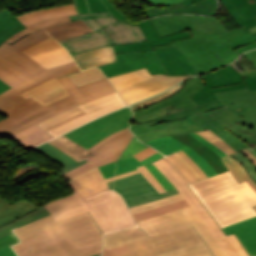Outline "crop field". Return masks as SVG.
<instances>
[{"label":"crop field","instance_id":"1","mask_svg":"<svg viewBox=\"0 0 256 256\" xmlns=\"http://www.w3.org/2000/svg\"><path fill=\"white\" fill-rule=\"evenodd\" d=\"M221 1L241 28L228 33L218 19L200 15L158 17L150 20L161 37L189 29L193 33V38L176 40L172 42L173 45L153 48L177 46L185 53L198 74L220 68L234 61L239 54L223 42L249 33L248 29L256 26V16L247 19L237 12L231 0Z\"/></svg>","mask_w":256,"mask_h":256},{"label":"crop field","instance_id":"2","mask_svg":"<svg viewBox=\"0 0 256 256\" xmlns=\"http://www.w3.org/2000/svg\"><path fill=\"white\" fill-rule=\"evenodd\" d=\"M19 256H87L102 251L103 235L88 212L56 221L52 215L13 230Z\"/></svg>","mask_w":256,"mask_h":256},{"label":"crop field","instance_id":"3","mask_svg":"<svg viewBox=\"0 0 256 256\" xmlns=\"http://www.w3.org/2000/svg\"><path fill=\"white\" fill-rule=\"evenodd\" d=\"M178 189L190 206L150 219L138 221L149 236L194 225L214 256H249L235 235L226 236L190 187L163 160L153 163Z\"/></svg>","mask_w":256,"mask_h":256},{"label":"crop field","instance_id":"4","mask_svg":"<svg viewBox=\"0 0 256 256\" xmlns=\"http://www.w3.org/2000/svg\"><path fill=\"white\" fill-rule=\"evenodd\" d=\"M0 79L13 87L0 95V112L9 116L0 121V136L6 137L10 135L27 150L52 139L46 131L37 125L38 123L77 105L76 101H74L55 111L49 109L72 98L71 95L47 106L31 98L26 100L17 91L35 82L7 65L1 59Z\"/></svg>","mask_w":256,"mask_h":256},{"label":"crop field","instance_id":"5","mask_svg":"<svg viewBox=\"0 0 256 256\" xmlns=\"http://www.w3.org/2000/svg\"><path fill=\"white\" fill-rule=\"evenodd\" d=\"M226 105L191 116L204 129H211L236 151L256 147V91L248 89L215 93Z\"/></svg>","mask_w":256,"mask_h":256},{"label":"crop field","instance_id":"6","mask_svg":"<svg viewBox=\"0 0 256 256\" xmlns=\"http://www.w3.org/2000/svg\"><path fill=\"white\" fill-rule=\"evenodd\" d=\"M190 187L222 228L256 215L251 207L256 204V193L246 182L238 184L229 171Z\"/></svg>","mask_w":256,"mask_h":256},{"label":"crop field","instance_id":"7","mask_svg":"<svg viewBox=\"0 0 256 256\" xmlns=\"http://www.w3.org/2000/svg\"><path fill=\"white\" fill-rule=\"evenodd\" d=\"M75 192L44 205L56 220L83 211H90L104 233L136 226L122 197L107 190L86 198L70 181Z\"/></svg>","mask_w":256,"mask_h":256},{"label":"crop field","instance_id":"8","mask_svg":"<svg viewBox=\"0 0 256 256\" xmlns=\"http://www.w3.org/2000/svg\"><path fill=\"white\" fill-rule=\"evenodd\" d=\"M72 20L83 19L95 32L86 38L64 43L71 54L105 47L146 41L137 24L130 21L117 22L110 13L71 16Z\"/></svg>","mask_w":256,"mask_h":256},{"label":"crop field","instance_id":"9","mask_svg":"<svg viewBox=\"0 0 256 256\" xmlns=\"http://www.w3.org/2000/svg\"><path fill=\"white\" fill-rule=\"evenodd\" d=\"M125 256H212L193 226L127 243Z\"/></svg>","mask_w":256,"mask_h":256},{"label":"crop field","instance_id":"10","mask_svg":"<svg viewBox=\"0 0 256 256\" xmlns=\"http://www.w3.org/2000/svg\"><path fill=\"white\" fill-rule=\"evenodd\" d=\"M48 37L50 36L42 29L26 36L12 46L6 42L0 46V58L36 82L34 85L19 91L20 94L49 79L80 71L75 62L46 70L21 52Z\"/></svg>","mask_w":256,"mask_h":256},{"label":"crop field","instance_id":"11","mask_svg":"<svg viewBox=\"0 0 256 256\" xmlns=\"http://www.w3.org/2000/svg\"><path fill=\"white\" fill-rule=\"evenodd\" d=\"M188 77L191 76H152L144 68L131 73L110 77L109 80L119 91L125 102L131 104L160 93Z\"/></svg>","mask_w":256,"mask_h":256},{"label":"crop field","instance_id":"12","mask_svg":"<svg viewBox=\"0 0 256 256\" xmlns=\"http://www.w3.org/2000/svg\"><path fill=\"white\" fill-rule=\"evenodd\" d=\"M131 116L132 111L127 106L64 135L88 149L107 135L128 127Z\"/></svg>","mask_w":256,"mask_h":256},{"label":"crop field","instance_id":"13","mask_svg":"<svg viewBox=\"0 0 256 256\" xmlns=\"http://www.w3.org/2000/svg\"><path fill=\"white\" fill-rule=\"evenodd\" d=\"M205 86L191 98L197 105L218 98L213 92L248 88L249 91L256 90V75L243 78L241 74L231 65L218 71L201 75Z\"/></svg>","mask_w":256,"mask_h":256},{"label":"crop field","instance_id":"14","mask_svg":"<svg viewBox=\"0 0 256 256\" xmlns=\"http://www.w3.org/2000/svg\"><path fill=\"white\" fill-rule=\"evenodd\" d=\"M107 183L124 197L128 207L178 194L177 189L160 194L141 172Z\"/></svg>","mask_w":256,"mask_h":256},{"label":"crop field","instance_id":"15","mask_svg":"<svg viewBox=\"0 0 256 256\" xmlns=\"http://www.w3.org/2000/svg\"><path fill=\"white\" fill-rule=\"evenodd\" d=\"M132 139V133L128 128L120 130L102 141L98 144L93 146L92 148L88 149L95 155L87 158L89 162L72 170L69 171L64 175L65 179H69L79 173H82L96 165L100 166L112 161L117 160L121 152L125 149L128 143Z\"/></svg>","mask_w":256,"mask_h":256},{"label":"crop field","instance_id":"16","mask_svg":"<svg viewBox=\"0 0 256 256\" xmlns=\"http://www.w3.org/2000/svg\"><path fill=\"white\" fill-rule=\"evenodd\" d=\"M204 85L205 84L200 76L192 77L190 81L173 96L157 103L151 104L143 109L134 111L135 115L133 118V122L137 123L145 121L147 119L165 115L168 112L166 113L164 109L173 106L176 107L177 111L191 106H195L196 104L190 97Z\"/></svg>","mask_w":256,"mask_h":256},{"label":"crop field","instance_id":"17","mask_svg":"<svg viewBox=\"0 0 256 256\" xmlns=\"http://www.w3.org/2000/svg\"><path fill=\"white\" fill-rule=\"evenodd\" d=\"M69 15H77L74 4L33 11L22 15L18 17V19L25 25L27 29L9 38L6 42L12 45L15 41L42 28L70 22L71 19Z\"/></svg>","mask_w":256,"mask_h":256},{"label":"crop field","instance_id":"18","mask_svg":"<svg viewBox=\"0 0 256 256\" xmlns=\"http://www.w3.org/2000/svg\"><path fill=\"white\" fill-rule=\"evenodd\" d=\"M118 62L100 66L107 77L131 72L146 67L152 74H166L154 51L116 54Z\"/></svg>","mask_w":256,"mask_h":256},{"label":"crop field","instance_id":"19","mask_svg":"<svg viewBox=\"0 0 256 256\" xmlns=\"http://www.w3.org/2000/svg\"><path fill=\"white\" fill-rule=\"evenodd\" d=\"M221 107H225V106L220 100L199 105L196 107L188 108L179 112H177L175 107H173L170 109H166L169 115L147 120L142 123H137V124L133 123L131 130L137 136L151 129L161 128L166 126H174V125L192 124L195 122L192 119H190L188 116L201 113L204 111H210L212 109L221 108Z\"/></svg>","mask_w":256,"mask_h":256},{"label":"crop field","instance_id":"20","mask_svg":"<svg viewBox=\"0 0 256 256\" xmlns=\"http://www.w3.org/2000/svg\"><path fill=\"white\" fill-rule=\"evenodd\" d=\"M125 106L122 98L118 94V92L113 93L111 95L99 98L97 100L88 102L86 104L81 105L84 111L87 113L78 118H75L65 124H62L50 131L48 133L53 137H57L79 125H82L98 116H101L107 112L118 109L120 107Z\"/></svg>","mask_w":256,"mask_h":256},{"label":"crop field","instance_id":"21","mask_svg":"<svg viewBox=\"0 0 256 256\" xmlns=\"http://www.w3.org/2000/svg\"><path fill=\"white\" fill-rule=\"evenodd\" d=\"M139 170L130 171L128 173L106 179L104 180L100 171L97 167L88 170L80 175H77L70 180L72 183L86 196H90L92 194H95L99 191H104L106 189H109L107 186L106 181L117 179L120 177H124L136 172L141 171L144 176L150 181V183L160 192H165L163 187L158 183V181L153 177V175L144 167H138ZM100 193V192H99Z\"/></svg>","mask_w":256,"mask_h":256},{"label":"crop field","instance_id":"22","mask_svg":"<svg viewBox=\"0 0 256 256\" xmlns=\"http://www.w3.org/2000/svg\"><path fill=\"white\" fill-rule=\"evenodd\" d=\"M22 52L46 69L73 61L69 53L51 37Z\"/></svg>","mask_w":256,"mask_h":256},{"label":"crop field","instance_id":"23","mask_svg":"<svg viewBox=\"0 0 256 256\" xmlns=\"http://www.w3.org/2000/svg\"><path fill=\"white\" fill-rule=\"evenodd\" d=\"M59 80L74 98L51 108L53 110L74 100H76L78 104L81 105L88 101L116 92L107 78L79 88H76L67 76L59 78Z\"/></svg>","mask_w":256,"mask_h":256},{"label":"crop field","instance_id":"24","mask_svg":"<svg viewBox=\"0 0 256 256\" xmlns=\"http://www.w3.org/2000/svg\"><path fill=\"white\" fill-rule=\"evenodd\" d=\"M137 24L141 27L145 37L147 38V42L114 46L116 53L152 50V46L171 44V41L173 40L192 37V34L189 32H180L160 38L150 20L142 21Z\"/></svg>","mask_w":256,"mask_h":256},{"label":"crop field","instance_id":"25","mask_svg":"<svg viewBox=\"0 0 256 256\" xmlns=\"http://www.w3.org/2000/svg\"><path fill=\"white\" fill-rule=\"evenodd\" d=\"M184 3L168 7L147 9L144 11L147 18L172 13H200L214 15L217 9V0H183ZM172 8V10H170Z\"/></svg>","mask_w":256,"mask_h":256},{"label":"crop field","instance_id":"26","mask_svg":"<svg viewBox=\"0 0 256 256\" xmlns=\"http://www.w3.org/2000/svg\"><path fill=\"white\" fill-rule=\"evenodd\" d=\"M145 143L152 145L155 149L161 151L166 155L182 150L186 152L190 156V158L200 166V168L208 175V177L218 174V172L196 151L174 140L170 136L152 139Z\"/></svg>","mask_w":256,"mask_h":256},{"label":"crop field","instance_id":"27","mask_svg":"<svg viewBox=\"0 0 256 256\" xmlns=\"http://www.w3.org/2000/svg\"><path fill=\"white\" fill-rule=\"evenodd\" d=\"M169 75H196L192 64L177 47L154 50Z\"/></svg>","mask_w":256,"mask_h":256},{"label":"crop field","instance_id":"28","mask_svg":"<svg viewBox=\"0 0 256 256\" xmlns=\"http://www.w3.org/2000/svg\"><path fill=\"white\" fill-rule=\"evenodd\" d=\"M163 159L187 184L207 178L206 174L199 168V166L182 151L170 154Z\"/></svg>","mask_w":256,"mask_h":256},{"label":"crop field","instance_id":"29","mask_svg":"<svg viewBox=\"0 0 256 256\" xmlns=\"http://www.w3.org/2000/svg\"><path fill=\"white\" fill-rule=\"evenodd\" d=\"M26 99L31 97L45 105L59 100L69 93L64 88V86L58 81L57 78L49 80L23 94ZM44 105V106H45Z\"/></svg>","mask_w":256,"mask_h":256},{"label":"crop field","instance_id":"30","mask_svg":"<svg viewBox=\"0 0 256 256\" xmlns=\"http://www.w3.org/2000/svg\"><path fill=\"white\" fill-rule=\"evenodd\" d=\"M223 230L226 234L235 233L251 256L256 255V216L225 227Z\"/></svg>","mask_w":256,"mask_h":256},{"label":"crop field","instance_id":"31","mask_svg":"<svg viewBox=\"0 0 256 256\" xmlns=\"http://www.w3.org/2000/svg\"><path fill=\"white\" fill-rule=\"evenodd\" d=\"M73 57L81 69L117 61L113 46L73 54Z\"/></svg>","mask_w":256,"mask_h":256},{"label":"crop field","instance_id":"32","mask_svg":"<svg viewBox=\"0 0 256 256\" xmlns=\"http://www.w3.org/2000/svg\"><path fill=\"white\" fill-rule=\"evenodd\" d=\"M77 14H93L110 12L116 20H129L121 14L110 0H74Z\"/></svg>","mask_w":256,"mask_h":256},{"label":"crop field","instance_id":"33","mask_svg":"<svg viewBox=\"0 0 256 256\" xmlns=\"http://www.w3.org/2000/svg\"><path fill=\"white\" fill-rule=\"evenodd\" d=\"M173 138L183 142L187 146L195 149L203 158H205L219 173L227 171L217 154L208 149L199 140L189 134H179L172 136Z\"/></svg>","mask_w":256,"mask_h":256},{"label":"crop field","instance_id":"34","mask_svg":"<svg viewBox=\"0 0 256 256\" xmlns=\"http://www.w3.org/2000/svg\"><path fill=\"white\" fill-rule=\"evenodd\" d=\"M37 209L33 204L20 201L12 206L7 201L0 205V226L12 222L19 217Z\"/></svg>","mask_w":256,"mask_h":256},{"label":"crop field","instance_id":"35","mask_svg":"<svg viewBox=\"0 0 256 256\" xmlns=\"http://www.w3.org/2000/svg\"><path fill=\"white\" fill-rule=\"evenodd\" d=\"M46 31L56 40H59L83 33L92 32L93 30L83 20H80L46 28Z\"/></svg>","mask_w":256,"mask_h":256},{"label":"crop field","instance_id":"36","mask_svg":"<svg viewBox=\"0 0 256 256\" xmlns=\"http://www.w3.org/2000/svg\"><path fill=\"white\" fill-rule=\"evenodd\" d=\"M34 149L52 159H54L58 163L64 165L65 168L62 169V173L72 170V169L87 162L86 160H84V161L78 163L73 158H71L69 155H67L63 151L55 148L54 146L50 145L47 142L34 148Z\"/></svg>","mask_w":256,"mask_h":256},{"label":"crop field","instance_id":"37","mask_svg":"<svg viewBox=\"0 0 256 256\" xmlns=\"http://www.w3.org/2000/svg\"><path fill=\"white\" fill-rule=\"evenodd\" d=\"M147 237V235L138 228L117 231L104 235V250L125 245V242Z\"/></svg>","mask_w":256,"mask_h":256},{"label":"crop field","instance_id":"38","mask_svg":"<svg viewBox=\"0 0 256 256\" xmlns=\"http://www.w3.org/2000/svg\"><path fill=\"white\" fill-rule=\"evenodd\" d=\"M23 29V24L7 9L0 12V44Z\"/></svg>","mask_w":256,"mask_h":256},{"label":"crop field","instance_id":"39","mask_svg":"<svg viewBox=\"0 0 256 256\" xmlns=\"http://www.w3.org/2000/svg\"><path fill=\"white\" fill-rule=\"evenodd\" d=\"M55 147L63 150L67 154H69L71 157H73L78 162L86 159L87 157L93 155L91 152L86 150L85 148L77 145L73 141H71L66 136L62 135L52 141H48Z\"/></svg>","mask_w":256,"mask_h":256},{"label":"crop field","instance_id":"40","mask_svg":"<svg viewBox=\"0 0 256 256\" xmlns=\"http://www.w3.org/2000/svg\"><path fill=\"white\" fill-rule=\"evenodd\" d=\"M142 166V164L135 158L125 159L121 161H115L103 166L98 167L104 178L113 177L130 170L137 169L136 167Z\"/></svg>","mask_w":256,"mask_h":256},{"label":"crop field","instance_id":"41","mask_svg":"<svg viewBox=\"0 0 256 256\" xmlns=\"http://www.w3.org/2000/svg\"><path fill=\"white\" fill-rule=\"evenodd\" d=\"M200 130H204V129H202L197 124H193V125L175 126V127H166V128L156 129V130L145 132L137 137L144 142L149 139L156 138L158 136L193 132V131H200Z\"/></svg>","mask_w":256,"mask_h":256},{"label":"crop field","instance_id":"42","mask_svg":"<svg viewBox=\"0 0 256 256\" xmlns=\"http://www.w3.org/2000/svg\"><path fill=\"white\" fill-rule=\"evenodd\" d=\"M222 161L238 183L246 181L256 191V183L249 177L241 163L231 156L223 158Z\"/></svg>","mask_w":256,"mask_h":256},{"label":"crop field","instance_id":"43","mask_svg":"<svg viewBox=\"0 0 256 256\" xmlns=\"http://www.w3.org/2000/svg\"><path fill=\"white\" fill-rule=\"evenodd\" d=\"M85 112L82 110V108L78 105L76 107H73L61 114H58L47 121L39 124L44 130L48 131L62 123H65L81 114H84Z\"/></svg>","mask_w":256,"mask_h":256},{"label":"crop field","instance_id":"44","mask_svg":"<svg viewBox=\"0 0 256 256\" xmlns=\"http://www.w3.org/2000/svg\"><path fill=\"white\" fill-rule=\"evenodd\" d=\"M50 213L47 211V209L42 206L41 208L37 209L36 211L27 214L20 219L6 225L3 227H0V237L12 233L11 229H14L16 227L22 226L26 223L38 220L46 215H49Z\"/></svg>","mask_w":256,"mask_h":256},{"label":"crop field","instance_id":"45","mask_svg":"<svg viewBox=\"0 0 256 256\" xmlns=\"http://www.w3.org/2000/svg\"><path fill=\"white\" fill-rule=\"evenodd\" d=\"M68 77L75 84L76 87L86 85L91 82L105 78L103 73L97 68H93L80 73L68 75Z\"/></svg>","mask_w":256,"mask_h":256},{"label":"crop field","instance_id":"46","mask_svg":"<svg viewBox=\"0 0 256 256\" xmlns=\"http://www.w3.org/2000/svg\"><path fill=\"white\" fill-rule=\"evenodd\" d=\"M188 206V204L186 203L185 200H181L178 201L176 203L164 206V207H160V208H156V209H152V210H148V211H144L138 214H134L133 217L135 219V221L137 220H141V219H146V218H150L153 216H157L163 213H167L182 207Z\"/></svg>","mask_w":256,"mask_h":256},{"label":"crop field","instance_id":"47","mask_svg":"<svg viewBox=\"0 0 256 256\" xmlns=\"http://www.w3.org/2000/svg\"><path fill=\"white\" fill-rule=\"evenodd\" d=\"M181 199H183V198L181 197L180 194H178V195L170 196V197H167V198L159 199V200H156V201H152V202H149V203H145V204H142V205L130 207L129 209H130L131 213L134 214V213H138V212H141V211H144V210H148V209L160 207V206H163V205H167V204L173 203V202L181 200Z\"/></svg>","mask_w":256,"mask_h":256},{"label":"crop field","instance_id":"48","mask_svg":"<svg viewBox=\"0 0 256 256\" xmlns=\"http://www.w3.org/2000/svg\"><path fill=\"white\" fill-rule=\"evenodd\" d=\"M197 133L206 137L208 140H210L212 143L217 145L219 148H221L223 151H225L229 155L236 152L234 149H232L228 144H226L221 138H219L216 134H214L209 129L206 131H201Z\"/></svg>","mask_w":256,"mask_h":256},{"label":"crop field","instance_id":"49","mask_svg":"<svg viewBox=\"0 0 256 256\" xmlns=\"http://www.w3.org/2000/svg\"><path fill=\"white\" fill-rule=\"evenodd\" d=\"M184 84L183 82H181L180 84H178L177 86H175L174 88L170 89L169 91L159 95V96H156L154 98H151V99H148L146 101H143V102H140V103H136V104H133L131 105V107L133 108V110L135 109H139V108H143L151 103H154V102H157L159 100H162L172 94H174L176 91H178L181 87H183Z\"/></svg>","mask_w":256,"mask_h":256},{"label":"crop field","instance_id":"50","mask_svg":"<svg viewBox=\"0 0 256 256\" xmlns=\"http://www.w3.org/2000/svg\"><path fill=\"white\" fill-rule=\"evenodd\" d=\"M239 13L247 18L256 15V4L250 5L246 0H232Z\"/></svg>","mask_w":256,"mask_h":256},{"label":"crop field","instance_id":"51","mask_svg":"<svg viewBox=\"0 0 256 256\" xmlns=\"http://www.w3.org/2000/svg\"><path fill=\"white\" fill-rule=\"evenodd\" d=\"M255 41H256V33H254V34L249 33L247 35H244L242 37L236 38L234 40H231V41H228L225 43L228 46H230L232 49L236 50L240 47H243V46L248 45Z\"/></svg>","mask_w":256,"mask_h":256},{"label":"crop field","instance_id":"52","mask_svg":"<svg viewBox=\"0 0 256 256\" xmlns=\"http://www.w3.org/2000/svg\"><path fill=\"white\" fill-rule=\"evenodd\" d=\"M149 147L148 145L142 144L140 141H138L135 137L131 141V143L128 145L127 149L125 152L121 155L120 159H125V158H131L133 157L132 155Z\"/></svg>","mask_w":256,"mask_h":256},{"label":"crop field","instance_id":"53","mask_svg":"<svg viewBox=\"0 0 256 256\" xmlns=\"http://www.w3.org/2000/svg\"><path fill=\"white\" fill-rule=\"evenodd\" d=\"M146 168L155 176L166 191L175 189L172 183L153 164L146 166Z\"/></svg>","mask_w":256,"mask_h":256},{"label":"crop field","instance_id":"54","mask_svg":"<svg viewBox=\"0 0 256 256\" xmlns=\"http://www.w3.org/2000/svg\"><path fill=\"white\" fill-rule=\"evenodd\" d=\"M231 156L236 158L238 161H240L244 165V167L248 171L251 178L256 182V168L251 163V161L245 155H243L241 152L234 153Z\"/></svg>","mask_w":256,"mask_h":256},{"label":"crop field","instance_id":"55","mask_svg":"<svg viewBox=\"0 0 256 256\" xmlns=\"http://www.w3.org/2000/svg\"><path fill=\"white\" fill-rule=\"evenodd\" d=\"M191 135H193L194 137H196L197 139H199L202 143H204L208 148H210L211 150H213L215 153H217L219 156H221L222 158L227 156L226 153H224L221 149H219L218 147H216L214 144H212L211 142H209L207 139H205L203 136L197 134V133H192Z\"/></svg>","mask_w":256,"mask_h":256},{"label":"crop field","instance_id":"56","mask_svg":"<svg viewBox=\"0 0 256 256\" xmlns=\"http://www.w3.org/2000/svg\"><path fill=\"white\" fill-rule=\"evenodd\" d=\"M131 251L125 246L117 247L114 249L106 250L104 251L102 256H120V255H125V254H130Z\"/></svg>","mask_w":256,"mask_h":256},{"label":"crop field","instance_id":"57","mask_svg":"<svg viewBox=\"0 0 256 256\" xmlns=\"http://www.w3.org/2000/svg\"><path fill=\"white\" fill-rule=\"evenodd\" d=\"M17 242H19V240L14 233L4 236L0 238V249Z\"/></svg>","mask_w":256,"mask_h":256},{"label":"crop field","instance_id":"58","mask_svg":"<svg viewBox=\"0 0 256 256\" xmlns=\"http://www.w3.org/2000/svg\"><path fill=\"white\" fill-rule=\"evenodd\" d=\"M152 6H167L183 2L182 0H147Z\"/></svg>","mask_w":256,"mask_h":256},{"label":"crop field","instance_id":"59","mask_svg":"<svg viewBox=\"0 0 256 256\" xmlns=\"http://www.w3.org/2000/svg\"><path fill=\"white\" fill-rule=\"evenodd\" d=\"M156 152H158V151H156V150H154L153 148L150 147V148H148V149H146V150H144V151L134 155V157L136 159H138L139 161H141V160H143V159H145V158L155 154Z\"/></svg>","mask_w":256,"mask_h":256},{"label":"crop field","instance_id":"60","mask_svg":"<svg viewBox=\"0 0 256 256\" xmlns=\"http://www.w3.org/2000/svg\"><path fill=\"white\" fill-rule=\"evenodd\" d=\"M161 157H163V155L158 152V153H156L155 155H153V156H151V157H149V158H147V159L141 161V163H142L144 166H146V165H148V164H150V163L156 161L157 159H159V158H161Z\"/></svg>","mask_w":256,"mask_h":256},{"label":"crop field","instance_id":"61","mask_svg":"<svg viewBox=\"0 0 256 256\" xmlns=\"http://www.w3.org/2000/svg\"><path fill=\"white\" fill-rule=\"evenodd\" d=\"M0 256H16L10 246L0 250Z\"/></svg>","mask_w":256,"mask_h":256},{"label":"crop field","instance_id":"62","mask_svg":"<svg viewBox=\"0 0 256 256\" xmlns=\"http://www.w3.org/2000/svg\"><path fill=\"white\" fill-rule=\"evenodd\" d=\"M252 63L256 66V61H253ZM231 65L234 66L242 74L243 77L256 74V71L245 74L244 71L240 69L236 64L232 63Z\"/></svg>","mask_w":256,"mask_h":256},{"label":"crop field","instance_id":"63","mask_svg":"<svg viewBox=\"0 0 256 256\" xmlns=\"http://www.w3.org/2000/svg\"><path fill=\"white\" fill-rule=\"evenodd\" d=\"M241 152L244 153L253 162V164L256 166V157L253 154H251L246 149L241 151Z\"/></svg>","mask_w":256,"mask_h":256},{"label":"crop field","instance_id":"64","mask_svg":"<svg viewBox=\"0 0 256 256\" xmlns=\"http://www.w3.org/2000/svg\"><path fill=\"white\" fill-rule=\"evenodd\" d=\"M252 48H256V42H255V43H252V44H250V45H248V46H246V47L240 48V49L236 50V52H238V53L241 54L242 52L247 51V50H250V49H252Z\"/></svg>","mask_w":256,"mask_h":256},{"label":"crop field","instance_id":"65","mask_svg":"<svg viewBox=\"0 0 256 256\" xmlns=\"http://www.w3.org/2000/svg\"><path fill=\"white\" fill-rule=\"evenodd\" d=\"M250 61L256 60V50L249 51L244 54Z\"/></svg>","mask_w":256,"mask_h":256},{"label":"crop field","instance_id":"66","mask_svg":"<svg viewBox=\"0 0 256 256\" xmlns=\"http://www.w3.org/2000/svg\"><path fill=\"white\" fill-rule=\"evenodd\" d=\"M12 87H10L8 84H6L5 82L0 80V94L5 92L6 90L10 89Z\"/></svg>","mask_w":256,"mask_h":256},{"label":"crop field","instance_id":"67","mask_svg":"<svg viewBox=\"0 0 256 256\" xmlns=\"http://www.w3.org/2000/svg\"><path fill=\"white\" fill-rule=\"evenodd\" d=\"M82 37H86V34L75 36V37H71V38H67V39H63V40H59V42L63 43V42L79 39V38H82Z\"/></svg>","mask_w":256,"mask_h":256},{"label":"crop field","instance_id":"68","mask_svg":"<svg viewBox=\"0 0 256 256\" xmlns=\"http://www.w3.org/2000/svg\"><path fill=\"white\" fill-rule=\"evenodd\" d=\"M249 151L256 156V150L255 149H252V150H249Z\"/></svg>","mask_w":256,"mask_h":256},{"label":"crop field","instance_id":"69","mask_svg":"<svg viewBox=\"0 0 256 256\" xmlns=\"http://www.w3.org/2000/svg\"><path fill=\"white\" fill-rule=\"evenodd\" d=\"M5 202V199L3 197H0V204Z\"/></svg>","mask_w":256,"mask_h":256},{"label":"crop field","instance_id":"70","mask_svg":"<svg viewBox=\"0 0 256 256\" xmlns=\"http://www.w3.org/2000/svg\"><path fill=\"white\" fill-rule=\"evenodd\" d=\"M250 31H251L252 33L256 32V27L250 29Z\"/></svg>","mask_w":256,"mask_h":256},{"label":"crop field","instance_id":"71","mask_svg":"<svg viewBox=\"0 0 256 256\" xmlns=\"http://www.w3.org/2000/svg\"><path fill=\"white\" fill-rule=\"evenodd\" d=\"M101 255V253H99V254H95V255H91V256H100Z\"/></svg>","mask_w":256,"mask_h":256},{"label":"crop field","instance_id":"72","mask_svg":"<svg viewBox=\"0 0 256 256\" xmlns=\"http://www.w3.org/2000/svg\"><path fill=\"white\" fill-rule=\"evenodd\" d=\"M254 208L256 209V206H254Z\"/></svg>","mask_w":256,"mask_h":256},{"label":"crop field","instance_id":"73","mask_svg":"<svg viewBox=\"0 0 256 256\" xmlns=\"http://www.w3.org/2000/svg\"><path fill=\"white\" fill-rule=\"evenodd\" d=\"M256 149V148H255Z\"/></svg>","mask_w":256,"mask_h":256},{"label":"crop field","instance_id":"74","mask_svg":"<svg viewBox=\"0 0 256 256\" xmlns=\"http://www.w3.org/2000/svg\"><path fill=\"white\" fill-rule=\"evenodd\" d=\"M256 99V98H255Z\"/></svg>","mask_w":256,"mask_h":256}]
</instances>
